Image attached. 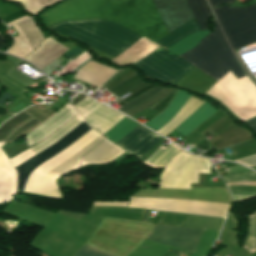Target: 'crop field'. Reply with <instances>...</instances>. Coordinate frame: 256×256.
I'll return each mask as SVG.
<instances>
[{"mask_svg": "<svg viewBox=\"0 0 256 256\" xmlns=\"http://www.w3.org/2000/svg\"><path fill=\"white\" fill-rule=\"evenodd\" d=\"M168 31L194 18L185 0H153ZM58 21L100 18L113 21L152 41L168 34L152 0H66L41 14Z\"/></svg>", "mask_w": 256, "mask_h": 256, "instance_id": "8a807250", "label": "crop field"}, {"mask_svg": "<svg viewBox=\"0 0 256 256\" xmlns=\"http://www.w3.org/2000/svg\"><path fill=\"white\" fill-rule=\"evenodd\" d=\"M154 224L105 218L86 244L115 256H129L144 241ZM203 230L155 224L147 239L195 250Z\"/></svg>", "mask_w": 256, "mask_h": 256, "instance_id": "ac0d7876", "label": "crop field"}, {"mask_svg": "<svg viewBox=\"0 0 256 256\" xmlns=\"http://www.w3.org/2000/svg\"><path fill=\"white\" fill-rule=\"evenodd\" d=\"M114 57L141 36L110 21L93 19L65 21L51 26Z\"/></svg>", "mask_w": 256, "mask_h": 256, "instance_id": "34b2d1b8", "label": "crop field"}, {"mask_svg": "<svg viewBox=\"0 0 256 256\" xmlns=\"http://www.w3.org/2000/svg\"><path fill=\"white\" fill-rule=\"evenodd\" d=\"M131 68L119 70L115 75H113L107 82L103 84L106 85L110 81L114 80L124 72L128 71ZM150 83L144 82L135 71L132 69L126 72L125 74L121 75L111 83L104 86L108 92L112 93L116 97H121L124 94L130 92L132 94L136 93L137 91L141 90L142 88L146 87ZM151 85L147 86L146 88L142 89L141 91L137 92L136 94L132 95L129 98H125L126 100L122 101L118 105L124 103L125 101L129 100L130 98L134 97L135 95L139 94L140 92L144 91L145 89L149 88ZM155 86V85H154ZM154 86L150 87L149 89L153 88ZM149 89L145 90L144 92L140 93L139 95L135 96L134 98L130 99L129 101L137 98L141 94L145 93ZM176 89L175 88H163L161 86H156L153 89L149 90L145 94L141 95L137 99L121 106L118 110L131 116L135 113H138L146 108L156 111L160 113L170 102L172 99Z\"/></svg>", "mask_w": 256, "mask_h": 256, "instance_id": "412701ff", "label": "crop field"}, {"mask_svg": "<svg viewBox=\"0 0 256 256\" xmlns=\"http://www.w3.org/2000/svg\"><path fill=\"white\" fill-rule=\"evenodd\" d=\"M213 24L214 32L202 39L195 48L179 57L217 81L230 70L236 79L245 76L236 64L215 19Z\"/></svg>", "mask_w": 256, "mask_h": 256, "instance_id": "f4fd0767", "label": "crop field"}, {"mask_svg": "<svg viewBox=\"0 0 256 256\" xmlns=\"http://www.w3.org/2000/svg\"><path fill=\"white\" fill-rule=\"evenodd\" d=\"M207 94L220 100L242 121L256 115V87L247 76L236 80L230 71Z\"/></svg>", "mask_w": 256, "mask_h": 256, "instance_id": "dd49c442", "label": "crop field"}, {"mask_svg": "<svg viewBox=\"0 0 256 256\" xmlns=\"http://www.w3.org/2000/svg\"><path fill=\"white\" fill-rule=\"evenodd\" d=\"M98 136L100 135L91 129L83 137L52 157L50 160L36 167V169L30 174L23 188V192L62 198L54 183V181L60 178V176L50 175L47 173L79 152Z\"/></svg>", "mask_w": 256, "mask_h": 256, "instance_id": "e52e79f7", "label": "crop field"}, {"mask_svg": "<svg viewBox=\"0 0 256 256\" xmlns=\"http://www.w3.org/2000/svg\"><path fill=\"white\" fill-rule=\"evenodd\" d=\"M233 50L256 41V3L245 8L213 9Z\"/></svg>", "mask_w": 256, "mask_h": 256, "instance_id": "d8731c3e", "label": "crop field"}, {"mask_svg": "<svg viewBox=\"0 0 256 256\" xmlns=\"http://www.w3.org/2000/svg\"><path fill=\"white\" fill-rule=\"evenodd\" d=\"M232 122L227 114L219 110L193 131L202 136L211 131L212 135L215 136L210 140L211 147L214 146L218 150L253 138L248 131ZM214 147L201 155L210 158L218 151Z\"/></svg>", "mask_w": 256, "mask_h": 256, "instance_id": "5a996713", "label": "crop field"}, {"mask_svg": "<svg viewBox=\"0 0 256 256\" xmlns=\"http://www.w3.org/2000/svg\"><path fill=\"white\" fill-rule=\"evenodd\" d=\"M133 65L148 77L172 84L193 67L161 47Z\"/></svg>", "mask_w": 256, "mask_h": 256, "instance_id": "3316defc", "label": "crop field"}, {"mask_svg": "<svg viewBox=\"0 0 256 256\" xmlns=\"http://www.w3.org/2000/svg\"><path fill=\"white\" fill-rule=\"evenodd\" d=\"M129 197H160L172 199H189L231 204L232 198L226 187L191 188V190L174 189H140Z\"/></svg>", "mask_w": 256, "mask_h": 256, "instance_id": "28ad6ade", "label": "crop field"}, {"mask_svg": "<svg viewBox=\"0 0 256 256\" xmlns=\"http://www.w3.org/2000/svg\"><path fill=\"white\" fill-rule=\"evenodd\" d=\"M37 106L42 110L45 108L42 104ZM38 107L32 106L24 111L28 112L43 122L52 114L56 113L52 109L46 108L44 111L51 114L49 115L40 110ZM24 111L20 112L0 126V142L14 141L21 136L27 135L35 127L43 123Z\"/></svg>", "mask_w": 256, "mask_h": 256, "instance_id": "d1516ede", "label": "crop field"}, {"mask_svg": "<svg viewBox=\"0 0 256 256\" xmlns=\"http://www.w3.org/2000/svg\"><path fill=\"white\" fill-rule=\"evenodd\" d=\"M86 123L80 124L76 127L73 131L59 140L57 143L51 145L46 150L35 156L34 158L30 159L29 161L25 162L24 164L20 165L19 167L15 168L18 173L17 178V192H22V188L24 185L25 180L27 179L30 172L39 164L47 161L53 155L60 152L62 149L70 145L72 142L77 140L83 134H85L88 130H90Z\"/></svg>", "mask_w": 256, "mask_h": 256, "instance_id": "22f410ed", "label": "crop field"}, {"mask_svg": "<svg viewBox=\"0 0 256 256\" xmlns=\"http://www.w3.org/2000/svg\"><path fill=\"white\" fill-rule=\"evenodd\" d=\"M94 102L86 97L74 107L83 119L102 135L124 116Z\"/></svg>", "mask_w": 256, "mask_h": 256, "instance_id": "cbeb9de0", "label": "crop field"}, {"mask_svg": "<svg viewBox=\"0 0 256 256\" xmlns=\"http://www.w3.org/2000/svg\"><path fill=\"white\" fill-rule=\"evenodd\" d=\"M161 138L162 137L138 125L116 144L139 159Z\"/></svg>", "mask_w": 256, "mask_h": 256, "instance_id": "5142ce71", "label": "crop field"}, {"mask_svg": "<svg viewBox=\"0 0 256 256\" xmlns=\"http://www.w3.org/2000/svg\"><path fill=\"white\" fill-rule=\"evenodd\" d=\"M82 122V119L79 117V115H77L69 122H67L65 125H63L61 128H59L57 131H55L47 139L30 147L34 156L43 151L44 149H46L51 144L57 142L59 139H61L63 136H65L67 133H69L72 129H74ZM30 148L9 160L14 168L33 157Z\"/></svg>", "mask_w": 256, "mask_h": 256, "instance_id": "d9b57169", "label": "crop field"}, {"mask_svg": "<svg viewBox=\"0 0 256 256\" xmlns=\"http://www.w3.org/2000/svg\"><path fill=\"white\" fill-rule=\"evenodd\" d=\"M77 112L67 103L56 114L35 128L26 137L29 146L43 140Z\"/></svg>", "mask_w": 256, "mask_h": 256, "instance_id": "733c2abd", "label": "crop field"}, {"mask_svg": "<svg viewBox=\"0 0 256 256\" xmlns=\"http://www.w3.org/2000/svg\"><path fill=\"white\" fill-rule=\"evenodd\" d=\"M67 49L68 48L48 38L43 41L36 51L26 57L25 60L33 63L42 70Z\"/></svg>", "mask_w": 256, "mask_h": 256, "instance_id": "4a817a6b", "label": "crop field"}, {"mask_svg": "<svg viewBox=\"0 0 256 256\" xmlns=\"http://www.w3.org/2000/svg\"><path fill=\"white\" fill-rule=\"evenodd\" d=\"M4 143H0V147ZM16 191V171L0 149V203L11 201Z\"/></svg>", "mask_w": 256, "mask_h": 256, "instance_id": "bc2a9ffb", "label": "crop field"}, {"mask_svg": "<svg viewBox=\"0 0 256 256\" xmlns=\"http://www.w3.org/2000/svg\"><path fill=\"white\" fill-rule=\"evenodd\" d=\"M114 73H116V71L91 60L80 68L73 78L98 87Z\"/></svg>", "mask_w": 256, "mask_h": 256, "instance_id": "214f88e0", "label": "crop field"}, {"mask_svg": "<svg viewBox=\"0 0 256 256\" xmlns=\"http://www.w3.org/2000/svg\"><path fill=\"white\" fill-rule=\"evenodd\" d=\"M158 46L159 45L142 37L116 59L114 58L115 60H113V62L123 66L130 65L154 51Z\"/></svg>", "mask_w": 256, "mask_h": 256, "instance_id": "92a150f3", "label": "crop field"}, {"mask_svg": "<svg viewBox=\"0 0 256 256\" xmlns=\"http://www.w3.org/2000/svg\"><path fill=\"white\" fill-rule=\"evenodd\" d=\"M189 97L190 94L187 92L178 90L169 107L145 125L157 131L180 110Z\"/></svg>", "mask_w": 256, "mask_h": 256, "instance_id": "dafd665d", "label": "crop field"}, {"mask_svg": "<svg viewBox=\"0 0 256 256\" xmlns=\"http://www.w3.org/2000/svg\"><path fill=\"white\" fill-rule=\"evenodd\" d=\"M216 110L207 102L203 104L199 109H197L193 114H191L186 120H184L175 131L187 135L194 128L200 125L203 121L209 118L212 114H214Z\"/></svg>", "mask_w": 256, "mask_h": 256, "instance_id": "00972430", "label": "crop field"}, {"mask_svg": "<svg viewBox=\"0 0 256 256\" xmlns=\"http://www.w3.org/2000/svg\"><path fill=\"white\" fill-rule=\"evenodd\" d=\"M199 31L200 30L197 26L195 19H192L191 21L187 22L186 24L182 25L178 29L169 33L162 39L158 40L156 43L160 44L161 46L167 49L169 46L177 43L182 38Z\"/></svg>", "mask_w": 256, "mask_h": 256, "instance_id": "a9b5d70f", "label": "crop field"}, {"mask_svg": "<svg viewBox=\"0 0 256 256\" xmlns=\"http://www.w3.org/2000/svg\"><path fill=\"white\" fill-rule=\"evenodd\" d=\"M118 151H120L118 147L105 139L82 158L89 162H106Z\"/></svg>", "mask_w": 256, "mask_h": 256, "instance_id": "4177f3b9", "label": "crop field"}, {"mask_svg": "<svg viewBox=\"0 0 256 256\" xmlns=\"http://www.w3.org/2000/svg\"><path fill=\"white\" fill-rule=\"evenodd\" d=\"M201 31L207 30L206 19L211 16V12L205 0H186Z\"/></svg>", "mask_w": 256, "mask_h": 256, "instance_id": "730fd06b", "label": "crop field"}, {"mask_svg": "<svg viewBox=\"0 0 256 256\" xmlns=\"http://www.w3.org/2000/svg\"><path fill=\"white\" fill-rule=\"evenodd\" d=\"M137 125L138 124L134 123L133 121L125 117L103 136H105L111 142L115 143L122 137H124L129 131H131Z\"/></svg>", "mask_w": 256, "mask_h": 256, "instance_id": "eef30255", "label": "crop field"}, {"mask_svg": "<svg viewBox=\"0 0 256 256\" xmlns=\"http://www.w3.org/2000/svg\"><path fill=\"white\" fill-rule=\"evenodd\" d=\"M14 30L18 33L19 36L15 37V43L11 47V49L8 51L9 54L24 58L29 53L32 52L29 43L23 34L22 30L18 26V24H15L12 26Z\"/></svg>", "mask_w": 256, "mask_h": 256, "instance_id": "ae1a2a85", "label": "crop field"}, {"mask_svg": "<svg viewBox=\"0 0 256 256\" xmlns=\"http://www.w3.org/2000/svg\"><path fill=\"white\" fill-rule=\"evenodd\" d=\"M210 32H211L210 30H207V31L192 34V35L186 37L185 39H183L182 41L178 42L174 46L170 47L168 50L177 55L182 54V53L188 51L189 49L195 47L198 44V42L203 37L208 35Z\"/></svg>", "mask_w": 256, "mask_h": 256, "instance_id": "d3111659", "label": "crop field"}, {"mask_svg": "<svg viewBox=\"0 0 256 256\" xmlns=\"http://www.w3.org/2000/svg\"><path fill=\"white\" fill-rule=\"evenodd\" d=\"M19 26L24 31L32 50L36 49L41 40L44 39L36 25L31 21V19H28L19 23Z\"/></svg>", "mask_w": 256, "mask_h": 256, "instance_id": "750c4746", "label": "crop field"}, {"mask_svg": "<svg viewBox=\"0 0 256 256\" xmlns=\"http://www.w3.org/2000/svg\"><path fill=\"white\" fill-rule=\"evenodd\" d=\"M178 152L179 151H177L170 145L165 150L159 147L158 150L145 162L157 167H163Z\"/></svg>", "mask_w": 256, "mask_h": 256, "instance_id": "bd1437ed", "label": "crop field"}, {"mask_svg": "<svg viewBox=\"0 0 256 256\" xmlns=\"http://www.w3.org/2000/svg\"><path fill=\"white\" fill-rule=\"evenodd\" d=\"M103 139L104 138H102L101 136L98 137L96 140H94L92 143L86 146L81 152L74 155L69 161L65 162L64 164L58 166L53 171H51V173L62 175L63 173L71 169L73 166H75L77 163H79V158Z\"/></svg>", "mask_w": 256, "mask_h": 256, "instance_id": "1d83c4d3", "label": "crop field"}, {"mask_svg": "<svg viewBox=\"0 0 256 256\" xmlns=\"http://www.w3.org/2000/svg\"><path fill=\"white\" fill-rule=\"evenodd\" d=\"M243 248L250 253L256 252V212L248 216V233Z\"/></svg>", "mask_w": 256, "mask_h": 256, "instance_id": "120bbe31", "label": "crop field"}, {"mask_svg": "<svg viewBox=\"0 0 256 256\" xmlns=\"http://www.w3.org/2000/svg\"><path fill=\"white\" fill-rule=\"evenodd\" d=\"M8 1L20 2L24 6V11L31 15H35L39 11L48 7L47 0H8Z\"/></svg>", "mask_w": 256, "mask_h": 256, "instance_id": "d32e631a", "label": "crop field"}, {"mask_svg": "<svg viewBox=\"0 0 256 256\" xmlns=\"http://www.w3.org/2000/svg\"><path fill=\"white\" fill-rule=\"evenodd\" d=\"M90 59H92L89 54L85 51L80 56H78L76 59H74L72 62H70L68 65H66L57 75L58 77H61L69 72H74L78 68H80L82 65H84L86 62H88Z\"/></svg>", "mask_w": 256, "mask_h": 256, "instance_id": "5866460e", "label": "crop field"}, {"mask_svg": "<svg viewBox=\"0 0 256 256\" xmlns=\"http://www.w3.org/2000/svg\"><path fill=\"white\" fill-rule=\"evenodd\" d=\"M225 183L235 182V181H256V174L249 172V173H242V174H233V175H225L222 176Z\"/></svg>", "mask_w": 256, "mask_h": 256, "instance_id": "028f5c9d", "label": "crop field"}, {"mask_svg": "<svg viewBox=\"0 0 256 256\" xmlns=\"http://www.w3.org/2000/svg\"><path fill=\"white\" fill-rule=\"evenodd\" d=\"M73 256H111L100 252L96 249L90 248L86 245H82Z\"/></svg>", "mask_w": 256, "mask_h": 256, "instance_id": "e1f06a70", "label": "crop field"}, {"mask_svg": "<svg viewBox=\"0 0 256 256\" xmlns=\"http://www.w3.org/2000/svg\"><path fill=\"white\" fill-rule=\"evenodd\" d=\"M29 105L26 104L23 100L20 98H17L14 102H12L8 107H6L4 110L7 111V113H17L24 108L28 107Z\"/></svg>", "mask_w": 256, "mask_h": 256, "instance_id": "0bd39190", "label": "crop field"}, {"mask_svg": "<svg viewBox=\"0 0 256 256\" xmlns=\"http://www.w3.org/2000/svg\"><path fill=\"white\" fill-rule=\"evenodd\" d=\"M238 161L243 162L249 166H254V165H256V155H253V156H250V157L238 160Z\"/></svg>", "mask_w": 256, "mask_h": 256, "instance_id": "b80d0937", "label": "crop field"}, {"mask_svg": "<svg viewBox=\"0 0 256 256\" xmlns=\"http://www.w3.org/2000/svg\"><path fill=\"white\" fill-rule=\"evenodd\" d=\"M244 123H246L251 130L256 132V117L249 119V120L245 121Z\"/></svg>", "mask_w": 256, "mask_h": 256, "instance_id": "c035e120", "label": "crop field"}, {"mask_svg": "<svg viewBox=\"0 0 256 256\" xmlns=\"http://www.w3.org/2000/svg\"><path fill=\"white\" fill-rule=\"evenodd\" d=\"M233 1L234 0H209L210 5L212 7L222 4V3H230L231 4Z\"/></svg>", "mask_w": 256, "mask_h": 256, "instance_id": "c21b1889", "label": "crop field"}, {"mask_svg": "<svg viewBox=\"0 0 256 256\" xmlns=\"http://www.w3.org/2000/svg\"><path fill=\"white\" fill-rule=\"evenodd\" d=\"M231 193L236 195L256 196V192L231 191Z\"/></svg>", "mask_w": 256, "mask_h": 256, "instance_id": "03da06ac", "label": "crop field"}, {"mask_svg": "<svg viewBox=\"0 0 256 256\" xmlns=\"http://www.w3.org/2000/svg\"><path fill=\"white\" fill-rule=\"evenodd\" d=\"M195 147H200L204 150L209 149V143L206 141V139L202 140L200 143H198Z\"/></svg>", "mask_w": 256, "mask_h": 256, "instance_id": "b54c1fbb", "label": "crop field"}, {"mask_svg": "<svg viewBox=\"0 0 256 256\" xmlns=\"http://www.w3.org/2000/svg\"><path fill=\"white\" fill-rule=\"evenodd\" d=\"M82 95V94H81ZM80 94H78L75 98L72 99L71 103L73 101H75L78 97L81 96ZM85 97V95H82L80 98H78L75 102L72 103V105L74 106L75 104H77L81 99H83Z\"/></svg>", "mask_w": 256, "mask_h": 256, "instance_id": "5d738f31", "label": "crop field"}, {"mask_svg": "<svg viewBox=\"0 0 256 256\" xmlns=\"http://www.w3.org/2000/svg\"><path fill=\"white\" fill-rule=\"evenodd\" d=\"M11 116H13V115H10V114H1V115H0V124H1L3 121H5V120H7L8 118H10Z\"/></svg>", "mask_w": 256, "mask_h": 256, "instance_id": "d23c7cc5", "label": "crop field"}, {"mask_svg": "<svg viewBox=\"0 0 256 256\" xmlns=\"http://www.w3.org/2000/svg\"><path fill=\"white\" fill-rule=\"evenodd\" d=\"M27 18H30V17H28V16H23V17H21V18L15 20V21L10 22V23H7V24L12 25V24H15V23H17V22H19V21L25 20V19H27Z\"/></svg>", "mask_w": 256, "mask_h": 256, "instance_id": "425ffa30", "label": "crop field"}, {"mask_svg": "<svg viewBox=\"0 0 256 256\" xmlns=\"http://www.w3.org/2000/svg\"><path fill=\"white\" fill-rule=\"evenodd\" d=\"M4 40H5L4 36L0 34V49L3 45Z\"/></svg>", "mask_w": 256, "mask_h": 256, "instance_id": "25e5ab78", "label": "crop field"}, {"mask_svg": "<svg viewBox=\"0 0 256 256\" xmlns=\"http://www.w3.org/2000/svg\"><path fill=\"white\" fill-rule=\"evenodd\" d=\"M57 1H59V0H49V5H51V4H53V3L57 2Z\"/></svg>", "mask_w": 256, "mask_h": 256, "instance_id": "73cf0c24", "label": "crop field"}]
</instances>
